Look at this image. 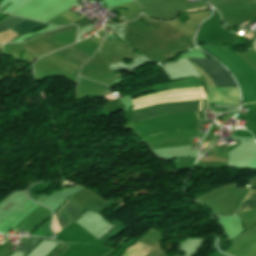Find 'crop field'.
I'll use <instances>...</instances> for the list:
<instances>
[{
  "instance_id": "11",
  "label": "crop field",
  "mask_w": 256,
  "mask_h": 256,
  "mask_svg": "<svg viewBox=\"0 0 256 256\" xmlns=\"http://www.w3.org/2000/svg\"><path fill=\"white\" fill-rule=\"evenodd\" d=\"M252 198H256V189L250 190V192L245 200L252 199Z\"/></svg>"
},
{
  "instance_id": "12",
  "label": "crop field",
  "mask_w": 256,
  "mask_h": 256,
  "mask_svg": "<svg viewBox=\"0 0 256 256\" xmlns=\"http://www.w3.org/2000/svg\"><path fill=\"white\" fill-rule=\"evenodd\" d=\"M198 89H199V92H200L201 98H202V99H205V94H204V90H203V88H198Z\"/></svg>"
},
{
  "instance_id": "6",
  "label": "crop field",
  "mask_w": 256,
  "mask_h": 256,
  "mask_svg": "<svg viewBox=\"0 0 256 256\" xmlns=\"http://www.w3.org/2000/svg\"><path fill=\"white\" fill-rule=\"evenodd\" d=\"M42 239L39 238H28L24 244L21 246V248L19 249V251L27 254L28 252H30L35 246L36 244L41 241Z\"/></svg>"
},
{
  "instance_id": "5",
  "label": "crop field",
  "mask_w": 256,
  "mask_h": 256,
  "mask_svg": "<svg viewBox=\"0 0 256 256\" xmlns=\"http://www.w3.org/2000/svg\"><path fill=\"white\" fill-rule=\"evenodd\" d=\"M72 61L76 62L79 65H83L85 62L89 60L91 56L81 52L80 50L70 46L64 49L57 51Z\"/></svg>"
},
{
  "instance_id": "2",
  "label": "crop field",
  "mask_w": 256,
  "mask_h": 256,
  "mask_svg": "<svg viewBox=\"0 0 256 256\" xmlns=\"http://www.w3.org/2000/svg\"><path fill=\"white\" fill-rule=\"evenodd\" d=\"M218 87H237L227 70L214 59H195Z\"/></svg>"
},
{
  "instance_id": "9",
  "label": "crop field",
  "mask_w": 256,
  "mask_h": 256,
  "mask_svg": "<svg viewBox=\"0 0 256 256\" xmlns=\"http://www.w3.org/2000/svg\"><path fill=\"white\" fill-rule=\"evenodd\" d=\"M253 209H256V199L243 202L242 206L240 207L237 213H241V212H245Z\"/></svg>"
},
{
  "instance_id": "4",
  "label": "crop field",
  "mask_w": 256,
  "mask_h": 256,
  "mask_svg": "<svg viewBox=\"0 0 256 256\" xmlns=\"http://www.w3.org/2000/svg\"><path fill=\"white\" fill-rule=\"evenodd\" d=\"M82 213L83 212H81L79 209H77L75 206H73L71 203L67 201L66 204L58 212L55 213V215L57 217L61 229H63ZM55 215L52 221V230L57 234L58 232L61 231V229L59 227Z\"/></svg>"
},
{
  "instance_id": "10",
  "label": "crop field",
  "mask_w": 256,
  "mask_h": 256,
  "mask_svg": "<svg viewBox=\"0 0 256 256\" xmlns=\"http://www.w3.org/2000/svg\"><path fill=\"white\" fill-rule=\"evenodd\" d=\"M72 29H75V27H70V28H66V29H63V30H59V31H56V32L49 33V34H45V35H43V37L46 38V37L53 36V35H56V34H59V33L65 32V31H69V30H72Z\"/></svg>"
},
{
  "instance_id": "7",
  "label": "crop field",
  "mask_w": 256,
  "mask_h": 256,
  "mask_svg": "<svg viewBox=\"0 0 256 256\" xmlns=\"http://www.w3.org/2000/svg\"><path fill=\"white\" fill-rule=\"evenodd\" d=\"M50 220L51 219H49V221L46 224H44L42 227L37 229L31 236H42L47 238L53 237V234L50 232V229H49Z\"/></svg>"
},
{
  "instance_id": "1",
  "label": "crop field",
  "mask_w": 256,
  "mask_h": 256,
  "mask_svg": "<svg viewBox=\"0 0 256 256\" xmlns=\"http://www.w3.org/2000/svg\"><path fill=\"white\" fill-rule=\"evenodd\" d=\"M199 102L200 100L179 102V103L158 104V105L150 106V107L139 109V110H134L132 111L133 122L157 117L160 115L198 111ZM202 102L203 100H201L199 111H201Z\"/></svg>"
},
{
  "instance_id": "3",
  "label": "crop field",
  "mask_w": 256,
  "mask_h": 256,
  "mask_svg": "<svg viewBox=\"0 0 256 256\" xmlns=\"http://www.w3.org/2000/svg\"><path fill=\"white\" fill-rule=\"evenodd\" d=\"M209 97L207 103L239 105V91L237 88H207Z\"/></svg>"
},
{
  "instance_id": "8",
  "label": "crop field",
  "mask_w": 256,
  "mask_h": 256,
  "mask_svg": "<svg viewBox=\"0 0 256 256\" xmlns=\"http://www.w3.org/2000/svg\"><path fill=\"white\" fill-rule=\"evenodd\" d=\"M22 21L24 20L12 18V17L8 18L7 20H5L0 24V33L12 28L13 26H15L16 24Z\"/></svg>"
}]
</instances>
